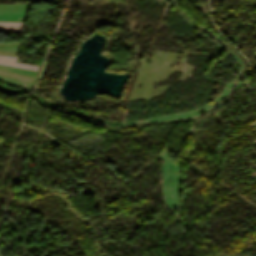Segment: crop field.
Here are the masks:
<instances>
[{
    "mask_svg": "<svg viewBox=\"0 0 256 256\" xmlns=\"http://www.w3.org/2000/svg\"><path fill=\"white\" fill-rule=\"evenodd\" d=\"M24 23L0 22V32H20Z\"/></svg>",
    "mask_w": 256,
    "mask_h": 256,
    "instance_id": "1",
    "label": "crop field"
},
{
    "mask_svg": "<svg viewBox=\"0 0 256 256\" xmlns=\"http://www.w3.org/2000/svg\"><path fill=\"white\" fill-rule=\"evenodd\" d=\"M16 58L0 56V64L12 65L36 70L38 66L14 63Z\"/></svg>",
    "mask_w": 256,
    "mask_h": 256,
    "instance_id": "2",
    "label": "crop field"
}]
</instances>
